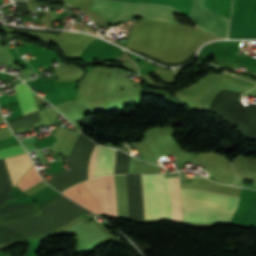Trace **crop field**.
<instances>
[{
  "instance_id": "obj_8",
  "label": "crop field",
  "mask_w": 256,
  "mask_h": 256,
  "mask_svg": "<svg viewBox=\"0 0 256 256\" xmlns=\"http://www.w3.org/2000/svg\"><path fill=\"white\" fill-rule=\"evenodd\" d=\"M10 174L13 186L20 177L32 166L27 154L4 159Z\"/></svg>"
},
{
  "instance_id": "obj_11",
  "label": "crop field",
  "mask_w": 256,
  "mask_h": 256,
  "mask_svg": "<svg viewBox=\"0 0 256 256\" xmlns=\"http://www.w3.org/2000/svg\"><path fill=\"white\" fill-rule=\"evenodd\" d=\"M23 152H26V151L20 144L16 146L4 148L0 150V159L7 156H11V155L21 154Z\"/></svg>"
},
{
  "instance_id": "obj_5",
  "label": "crop field",
  "mask_w": 256,
  "mask_h": 256,
  "mask_svg": "<svg viewBox=\"0 0 256 256\" xmlns=\"http://www.w3.org/2000/svg\"><path fill=\"white\" fill-rule=\"evenodd\" d=\"M100 203L103 214L117 217L113 175L83 182Z\"/></svg>"
},
{
  "instance_id": "obj_10",
  "label": "crop field",
  "mask_w": 256,
  "mask_h": 256,
  "mask_svg": "<svg viewBox=\"0 0 256 256\" xmlns=\"http://www.w3.org/2000/svg\"><path fill=\"white\" fill-rule=\"evenodd\" d=\"M40 180H42V179L38 176L34 167L32 166V168L19 181L17 186H18L19 189H21L23 191V190L31 187L35 183L39 182Z\"/></svg>"
},
{
  "instance_id": "obj_4",
  "label": "crop field",
  "mask_w": 256,
  "mask_h": 256,
  "mask_svg": "<svg viewBox=\"0 0 256 256\" xmlns=\"http://www.w3.org/2000/svg\"><path fill=\"white\" fill-rule=\"evenodd\" d=\"M190 19L206 31L227 37L229 19L204 7V0H192Z\"/></svg>"
},
{
  "instance_id": "obj_2",
  "label": "crop field",
  "mask_w": 256,
  "mask_h": 256,
  "mask_svg": "<svg viewBox=\"0 0 256 256\" xmlns=\"http://www.w3.org/2000/svg\"><path fill=\"white\" fill-rule=\"evenodd\" d=\"M144 219H168L163 175H140ZM169 219L182 222L178 178H166Z\"/></svg>"
},
{
  "instance_id": "obj_3",
  "label": "crop field",
  "mask_w": 256,
  "mask_h": 256,
  "mask_svg": "<svg viewBox=\"0 0 256 256\" xmlns=\"http://www.w3.org/2000/svg\"><path fill=\"white\" fill-rule=\"evenodd\" d=\"M115 25L132 17L177 23L174 15L182 13L162 5L129 4L111 0H93L89 8Z\"/></svg>"
},
{
  "instance_id": "obj_7",
  "label": "crop field",
  "mask_w": 256,
  "mask_h": 256,
  "mask_svg": "<svg viewBox=\"0 0 256 256\" xmlns=\"http://www.w3.org/2000/svg\"><path fill=\"white\" fill-rule=\"evenodd\" d=\"M78 193H81L82 195H79ZM63 194L96 213H102L99 203L96 200L97 198L95 199V197L90 193L83 183H79L65 190Z\"/></svg>"
},
{
  "instance_id": "obj_6",
  "label": "crop field",
  "mask_w": 256,
  "mask_h": 256,
  "mask_svg": "<svg viewBox=\"0 0 256 256\" xmlns=\"http://www.w3.org/2000/svg\"><path fill=\"white\" fill-rule=\"evenodd\" d=\"M115 154L116 150L96 145L90 159L88 179L103 174H113Z\"/></svg>"
},
{
  "instance_id": "obj_9",
  "label": "crop field",
  "mask_w": 256,
  "mask_h": 256,
  "mask_svg": "<svg viewBox=\"0 0 256 256\" xmlns=\"http://www.w3.org/2000/svg\"><path fill=\"white\" fill-rule=\"evenodd\" d=\"M14 90L23 115L38 110L30 89L24 83L19 84Z\"/></svg>"
},
{
  "instance_id": "obj_1",
  "label": "crop field",
  "mask_w": 256,
  "mask_h": 256,
  "mask_svg": "<svg viewBox=\"0 0 256 256\" xmlns=\"http://www.w3.org/2000/svg\"><path fill=\"white\" fill-rule=\"evenodd\" d=\"M183 223H228L238 202L236 196L181 188Z\"/></svg>"
}]
</instances>
